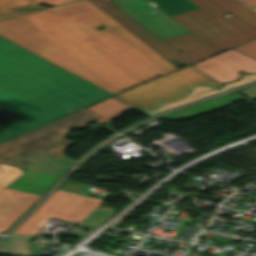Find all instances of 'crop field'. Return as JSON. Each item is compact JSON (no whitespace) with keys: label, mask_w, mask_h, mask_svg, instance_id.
Instances as JSON below:
<instances>
[{"label":"crop field","mask_w":256,"mask_h":256,"mask_svg":"<svg viewBox=\"0 0 256 256\" xmlns=\"http://www.w3.org/2000/svg\"><path fill=\"white\" fill-rule=\"evenodd\" d=\"M219 6L256 29V13L235 0H212Z\"/></svg>","instance_id":"15"},{"label":"crop field","mask_w":256,"mask_h":256,"mask_svg":"<svg viewBox=\"0 0 256 256\" xmlns=\"http://www.w3.org/2000/svg\"><path fill=\"white\" fill-rule=\"evenodd\" d=\"M87 234L88 233H84L82 230H74L73 233L71 234V236L82 238Z\"/></svg>","instance_id":"25"},{"label":"crop field","mask_w":256,"mask_h":256,"mask_svg":"<svg viewBox=\"0 0 256 256\" xmlns=\"http://www.w3.org/2000/svg\"><path fill=\"white\" fill-rule=\"evenodd\" d=\"M30 130H32V128L0 116V135L2 136L9 138L11 136L20 135Z\"/></svg>","instance_id":"20"},{"label":"crop field","mask_w":256,"mask_h":256,"mask_svg":"<svg viewBox=\"0 0 256 256\" xmlns=\"http://www.w3.org/2000/svg\"><path fill=\"white\" fill-rule=\"evenodd\" d=\"M193 66L222 83L238 79L240 72L256 73V61L232 49Z\"/></svg>","instance_id":"9"},{"label":"crop field","mask_w":256,"mask_h":256,"mask_svg":"<svg viewBox=\"0 0 256 256\" xmlns=\"http://www.w3.org/2000/svg\"><path fill=\"white\" fill-rule=\"evenodd\" d=\"M128 108L129 107L109 98L86 109L103 116L95 121L104 124L107 123L109 118L117 116L122 110Z\"/></svg>","instance_id":"16"},{"label":"crop field","mask_w":256,"mask_h":256,"mask_svg":"<svg viewBox=\"0 0 256 256\" xmlns=\"http://www.w3.org/2000/svg\"><path fill=\"white\" fill-rule=\"evenodd\" d=\"M255 11H256V7L255 8H253Z\"/></svg>","instance_id":"29"},{"label":"crop field","mask_w":256,"mask_h":256,"mask_svg":"<svg viewBox=\"0 0 256 256\" xmlns=\"http://www.w3.org/2000/svg\"><path fill=\"white\" fill-rule=\"evenodd\" d=\"M33 237H11L0 244V253L33 255L30 249V241Z\"/></svg>","instance_id":"18"},{"label":"crop field","mask_w":256,"mask_h":256,"mask_svg":"<svg viewBox=\"0 0 256 256\" xmlns=\"http://www.w3.org/2000/svg\"><path fill=\"white\" fill-rule=\"evenodd\" d=\"M116 209L105 208L101 210H93L87 217H85L77 226L93 230L109 216H111Z\"/></svg>","instance_id":"19"},{"label":"crop field","mask_w":256,"mask_h":256,"mask_svg":"<svg viewBox=\"0 0 256 256\" xmlns=\"http://www.w3.org/2000/svg\"><path fill=\"white\" fill-rule=\"evenodd\" d=\"M28 98L0 87V110L24 101Z\"/></svg>","instance_id":"21"},{"label":"crop field","mask_w":256,"mask_h":256,"mask_svg":"<svg viewBox=\"0 0 256 256\" xmlns=\"http://www.w3.org/2000/svg\"><path fill=\"white\" fill-rule=\"evenodd\" d=\"M111 3L160 41L190 32L147 0H112Z\"/></svg>","instance_id":"8"},{"label":"crop field","mask_w":256,"mask_h":256,"mask_svg":"<svg viewBox=\"0 0 256 256\" xmlns=\"http://www.w3.org/2000/svg\"><path fill=\"white\" fill-rule=\"evenodd\" d=\"M3 189H5V188H3V187H0V191H1V190H3Z\"/></svg>","instance_id":"28"},{"label":"crop field","mask_w":256,"mask_h":256,"mask_svg":"<svg viewBox=\"0 0 256 256\" xmlns=\"http://www.w3.org/2000/svg\"><path fill=\"white\" fill-rule=\"evenodd\" d=\"M101 116L86 109L0 144V162L57 176L74 160L63 153L74 142L63 139L74 128Z\"/></svg>","instance_id":"3"},{"label":"crop field","mask_w":256,"mask_h":256,"mask_svg":"<svg viewBox=\"0 0 256 256\" xmlns=\"http://www.w3.org/2000/svg\"><path fill=\"white\" fill-rule=\"evenodd\" d=\"M240 99H244L247 102L253 104V102L249 101L248 99L240 95L238 92H236V93H233L224 97H220L202 104L185 108L183 110L177 111L175 113L166 115L161 118L165 120L189 118L192 116H196L205 112H209V111L221 108L223 106L229 105L231 102H234Z\"/></svg>","instance_id":"12"},{"label":"crop field","mask_w":256,"mask_h":256,"mask_svg":"<svg viewBox=\"0 0 256 256\" xmlns=\"http://www.w3.org/2000/svg\"><path fill=\"white\" fill-rule=\"evenodd\" d=\"M0 36L114 95L178 69L88 0L0 21Z\"/></svg>","instance_id":"1"},{"label":"crop field","mask_w":256,"mask_h":256,"mask_svg":"<svg viewBox=\"0 0 256 256\" xmlns=\"http://www.w3.org/2000/svg\"><path fill=\"white\" fill-rule=\"evenodd\" d=\"M102 202L103 200L56 190L12 234H38L50 217L79 223Z\"/></svg>","instance_id":"7"},{"label":"crop field","mask_w":256,"mask_h":256,"mask_svg":"<svg viewBox=\"0 0 256 256\" xmlns=\"http://www.w3.org/2000/svg\"><path fill=\"white\" fill-rule=\"evenodd\" d=\"M90 1L168 60H177L188 66L218 53L192 33L160 42L107 0ZM177 50L181 52H174Z\"/></svg>","instance_id":"6"},{"label":"crop field","mask_w":256,"mask_h":256,"mask_svg":"<svg viewBox=\"0 0 256 256\" xmlns=\"http://www.w3.org/2000/svg\"><path fill=\"white\" fill-rule=\"evenodd\" d=\"M167 15L172 16L187 11L199 9L188 0H149Z\"/></svg>","instance_id":"17"},{"label":"crop field","mask_w":256,"mask_h":256,"mask_svg":"<svg viewBox=\"0 0 256 256\" xmlns=\"http://www.w3.org/2000/svg\"><path fill=\"white\" fill-rule=\"evenodd\" d=\"M0 168L3 169L0 171V186L3 187L7 186L9 183L22 175L21 170L10 165L0 164Z\"/></svg>","instance_id":"22"},{"label":"crop field","mask_w":256,"mask_h":256,"mask_svg":"<svg viewBox=\"0 0 256 256\" xmlns=\"http://www.w3.org/2000/svg\"><path fill=\"white\" fill-rule=\"evenodd\" d=\"M240 1H242L243 3H245L251 8L256 6V0H240Z\"/></svg>","instance_id":"26"},{"label":"crop field","mask_w":256,"mask_h":256,"mask_svg":"<svg viewBox=\"0 0 256 256\" xmlns=\"http://www.w3.org/2000/svg\"><path fill=\"white\" fill-rule=\"evenodd\" d=\"M5 140H8V139L5 138V137L0 136V142H3V141H5Z\"/></svg>","instance_id":"27"},{"label":"crop field","mask_w":256,"mask_h":256,"mask_svg":"<svg viewBox=\"0 0 256 256\" xmlns=\"http://www.w3.org/2000/svg\"><path fill=\"white\" fill-rule=\"evenodd\" d=\"M240 94L253 101L256 99V86L239 91Z\"/></svg>","instance_id":"24"},{"label":"crop field","mask_w":256,"mask_h":256,"mask_svg":"<svg viewBox=\"0 0 256 256\" xmlns=\"http://www.w3.org/2000/svg\"><path fill=\"white\" fill-rule=\"evenodd\" d=\"M8 188L41 195L58 177L28 170Z\"/></svg>","instance_id":"13"},{"label":"crop field","mask_w":256,"mask_h":256,"mask_svg":"<svg viewBox=\"0 0 256 256\" xmlns=\"http://www.w3.org/2000/svg\"><path fill=\"white\" fill-rule=\"evenodd\" d=\"M194 84L211 85L216 89L222 86V83L190 66L112 98L132 109H153L159 102L176 100L189 93Z\"/></svg>","instance_id":"5"},{"label":"crop field","mask_w":256,"mask_h":256,"mask_svg":"<svg viewBox=\"0 0 256 256\" xmlns=\"http://www.w3.org/2000/svg\"><path fill=\"white\" fill-rule=\"evenodd\" d=\"M68 1L72 0H0V19L41 9V3L51 6Z\"/></svg>","instance_id":"14"},{"label":"crop field","mask_w":256,"mask_h":256,"mask_svg":"<svg viewBox=\"0 0 256 256\" xmlns=\"http://www.w3.org/2000/svg\"><path fill=\"white\" fill-rule=\"evenodd\" d=\"M256 81V74H252V75H243V78L240 81L237 82H232L227 84L226 86L223 87V89L221 90H214L210 87H204V86H198L194 88V91L192 94L176 101L173 103H162L160 108L157 110H152V111H141L142 113L146 114L147 116L151 117L155 114H158L160 112H163L167 109H170L172 107L178 106V105H182L188 102H192L201 98H205L220 92H224L251 82Z\"/></svg>","instance_id":"11"},{"label":"crop field","mask_w":256,"mask_h":256,"mask_svg":"<svg viewBox=\"0 0 256 256\" xmlns=\"http://www.w3.org/2000/svg\"><path fill=\"white\" fill-rule=\"evenodd\" d=\"M201 9L172 16L184 27L221 52L256 38V30L211 0H190ZM229 14L226 18L223 15Z\"/></svg>","instance_id":"4"},{"label":"crop field","mask_w":256,"mask_h":256,"mask_svg":"<svg viewBox=\"0 0 256 256\" xmlns=\"http://www.w3.org/2000/svg\"><path fill=\"white\" fill-rule=\"evenodd\" d=\"M39 196L5 189L0 192V232L7 229Z\"/></svg>","instance_id":"10"},{"label":"crop field","mask_w":256,"mask_h":256,"mask_svg":"<svg viewBox=\"0 0 256 256\" xmlns=\"http://www.w3.org/2000/svg\"><path fill=\"white\" fill-rule=\"evenodd\" d=\"M256 60V39L233 48Z\"/></svg>","instance_id":"23"},{"label":"crop field","mask_w":256,"mask_h":256,"mask_svg":"<svg viewBox=\"0 0 256 256\" xmlns=\"http://www.w3.org/2000/svg\"><path fill=\"white\" fill-rule=\"evenodd\" d=\"M0 86L30 98L0 115L32 128L113 96L2 37Z\"/></svg>","instance_id":"2"}]
</instances>
